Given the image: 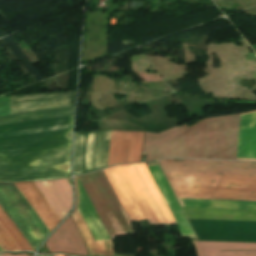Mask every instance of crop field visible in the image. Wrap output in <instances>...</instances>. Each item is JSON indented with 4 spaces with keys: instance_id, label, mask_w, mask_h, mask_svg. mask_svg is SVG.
I'll return each mask as SVG.
<instances>
[{
    "instance_id": "1",
    "label": "crop field",
    "mask_w": 256,
    "mask_h": 256,
    "mask_svg": "<svg viewBox=\"0 0 256 256\" xmlns=\"http://www.w3.org/2000/svg\"><path fill=\"white\" fill-rule=\"evenodd\" d=\"M73 116L0 126V182L70 176Z\"/></svg>"
},
{
    "instance_id": "2",
    "label": "crop field",
    "mask_w": 256,
    "mask_h": 256,
    "mask_svg": "<svg viewBox=\"0 0 256 256\" xmlns=\"http://www.w3.org/2000/svg\"><path fill=\"white\" fill-rule=\"evenodd\" d=\"M238 115L202 119L197 124L175 127L159 134L145 132L146 161L168 158L235 159Z\"/></svg>"
},
{
    "instance_id": "3",
    "label": "crop field",
    "mask_w": 256,
    "mask_h": 256,
    "mask_svg": "<svg viewBox=\"0 0 256 256\" xmlns=\"http://www.w3.org/2000/svg\"><path fill=\"white\" fill-rule=\"evenodd\" d=\"M130 222H174L145 164L105 170Z\"/></svg>"
},
{
    "instance_id": "4",
    "label": "crop field",
    "mask_w": 256,
    "mask_h": 256,
    "mask_svg": "<svg viewBox=\"0 0 256 256\" xmlns=\"http://www.w3.org/2000/svg\"><path fill=\"white\" fill-rule=\"evenodd\" d=\"M177 198L256 201V177L164 173Z\"/></svg>"
},
{
    "instance_id": "5",
    "label": "crop field",
    "mask_w": 256,
    "mask_h": 256,
    "mask_svg": "<svg viewBox=\"0 0 256 256\" xmlns=\"http://www.w3.org/2000/svg\"><path fill=\"white\" fill-rule=\"evenodd\" d=\"M79 179L111 240L118 235L134 232L103 171L86 174Z\"/></svg>"
},
{
    "instance_id": "6",
    "label": "crop field",
    "mask_w": 256,
    "mask_h": 256,
    "mask_svg": "<svg viewBox=\"0 0 256 256\" xmlns=\"http://www.w3.org/2000/svg\"><path fill=\"white\" fill-rule=\"evenodd\" d=\"M78 177L74 178L75 182V190H76V203L74 210L72 212V217L80 230L88 248V254L89 256H114L112 243L104 228L102 225L95 209L93 208L87 194L85 193L79 179L78 181V188H79V203H78V188H77V179ZM78 203V212L82 216L93 240L95 243L97 242H103V241H109V242H103V243H97L94 244L79 213L76 210Z\"/></svg>"
},
{
    "instance_id": "7",
    "label": "crop field",
    "mask_w": 256,
    "mask_h": 256,
    "mask_svg": "<svg viewBox=\"0 0 256 256\" xmlns=\"http://www.w3.org/2000/svg\"><path fill=\"white\" fill-rule=\"evenodd\" d=\"M110 131L76 133L74 176L106 167Z\"/></svg>"
},
{
    "instance_id": "8",
    "label": "crop field",
    "mask_w": 256,
    "mask_h": 256,
    "mask_svg": "<svg viewBox=\"0 0 256 256\" xmlns=\"http://www.w3.org/2000/svg\"><path fill=\"white\" fill-rule=\"evenodd\" d=\"M158 162L163 172L256 176V162L183 159H166Z\"/></svg>"
},
{
    "instance_id": "9",
    "label": "crop field",
    "mask_w": 256,
    "mask_h": 256,
    "mask_svg": "<svg viewBox=\"0 0 256 256\" xmlns=\"http://www.w3.org/2000/svg\"><path fill=\"white\" fill-rule=\"evenodd\" d=\"M75 92L9 97L11 115L74 106Z\"/></svg>"
},
{
    "instance_id": "10",
    "label": "crop field",
    "mask_w": 256,
    "mask_h": 256,
    "mask_svg": "<svg viewBox=\"0 0 256 256\" xmlns=\"http://www.w3.org/2000/svg\"><path fill=\"white\" fill-rule=\"evenodd\" d=\"M143 132L111 131L107 167L140 162Z\"/></svg>"
},
{
    "instance_id": "11",
    "label": "crop field",
    "mask_w": 256,
    "mask_h": 256,
    "mask_svg": "<svg viewBox=\"0 0 256 256\" xmlns=\"http://www.w3.org/2000/svg\"><path fill=\"white\" fill-rule=\"evenodd\" d=\"M45 244L51 253L60 251L87 256L85 244L70 217L50 236Z\"/></svg>"
},
{
    "instance_id": "12",
    "label": "crop field",
    "mask_w": 256,
    "mask_h": 256,
    "mask_svg": "<svg viewBox=\"0 0 256 256\" xmlns=\"http://www.w3.org/2000/svg\"><path fill=\"white\" fill-rule=\"evenodd\" d=\"M148 164L149 165H155ZM154 182L156 183L165 203L167 204L181 235H194L184 213L182 212L171 188L169 187L159 165L147 167ZM181 237H196V236H181Z\"/></svg>"
},
{
    "instance_id": "13",
    "label": "crop field",
    "mask_w": 256,
    "mask_h": 256,
    "mask_svg": "<svg viewBox=\"0 0 256 256\" xmlns=\"http://www.w3.org/2000/svg\"><path fill=\"white\" fill-rule=\"evenodd\" d=\"M61 220L72 207V188L65 179L34 182Z\"/></svg>"
},
{
    "instance_id": "14",
    "label": "crop field",
    "mask_w": 256,
    "mask_h": 256,
    "mask_svg": "<svg viewBox=\"0 0 256 256\" xmlns=\"http://www.w3.org/2000/svg\"><path fill=\"white\" fill-rule=\"evenodd\" d=\"M14 185L50 232L61 220L33 182H19Z\"/></svg>"
},
{
    "instance_id": "15",
    "label": "crop field",
    "mask_w": 256,
    "mask_h": 256,
    "mask_svg": "<svg viewBox=\"0 0 256 256\" xmlns=\"http://www.w3.org/2000/svg\"><path fill=\"white\" fill-rule=\"evenodd\" d=\"M197 256H256L254 250L225 251L231 249H256V243L191 241Z\"/></svg>"
},
{
    "instance_id": "16",
    "label": "crop field",
    "mask_w": 256,
    "mask_h": 256,
    "mask_svg": "<svg viewBox=\"0 0 256 256\" xmlns=\"http://www.w3.org/2000/svg\"><path fill=\"white\" fill-rule=\"evenodd\" d=\"M253 112L256 111L242 113L241 115ZM236 157L256 158V113L241 116Z\"/></svg>"
},
{
    "instance_id": "17",
    "label": "crop field",
    "mask_w": 256,
    "mask_h": 256,
    "mask_svg": "<svg viewBox=\"0 0 256 256\" xmlns=\"http://www.w3.org/2000/svg\"><path fill=\"white\" fill-rule=\"evenodd\" d=\"M183 210L187 218L256 221V210L200 209V208H183Z\"/></svg>"
},
{
    "instance_id": "18",
    "label": "crop field",
    "mask_w": 256,
    "mask_h": 256,
    "mask_svg": "<svg viewBox=\"0 0 256 256\" xmlns=\"http://www.w3.org/2000/svg\"><path fill=\"white\" fill-rule=\"evenodd\" d=\"M181 206L192 207H213V208H234V209H256V202H238V201H214V200H189L178 199Z\"/></svg>"
},
{
    "instance_id": "19",
    "label": "crop field",
    "mask_w": 256,
    "mask_h": 256,
    "mask_svg": "<svg viewBox=\"0 0 256 256\" xmlns=\"http://www.w3.org/2000/svg\"><path fill=\"white\" fill-rule=\"evenodd\" d=\"M73 111H74V108H66V109L50 110V111L24 114V115L0 117V125L30 121V120H36V119H43V118L69 116V115H73Z\"/></svg>"
},
{
    "instance_id": "20",
    "label": "crop field",
    "mask_w": 256,
    "mask_h": 256,
    "mask_svg": "<svg viewBox=\"0 0 256 256\" xmlns=\"http://www.w3.org/2000/svg\"><path fill=\"white\" fill-rule=\"evenodd\" d=\"M0 223L7 231V233L11 236L17 246L20 248L21 251H33L5 212L0 207Z\"/></svg>"
},
{
    "instance_id": "21",
    "label": "crop field",
    "mask_w": 256,
    "mask_h": 256,
    "mask_svg": "<svg viewBox=\"0 0 256 256\" xmlns=\"http://www.w3.org/2000/svg\"><path fill=\"white\" fill-rule=\"evenodd\" d=\"M0 247L3 251H20L10 236L6 233L3 227L0 225Z\"/></svg>"
},
{
    "instance_id": "22",
    "label": "crop field",
    "mask_w": 256,
    "mask_h": 256,
    "mask_svg": "<svg viewBox=\"0 0 256 256\" xmlns=\"http://www.w3.org/2000/svg\"><path fill=\"white\" fill-rule=\"evenodd\" d=\"M0 256H26V254H17V255H10L7 253L0 254Z\"/></svg>"
},
{
    "instance_id": "23",
    "label": "crop field",
    "mask_w": 256,
    "mask_h": 256,
    "mask_svg": "<svg viewBox=\"0 0 256 256\" xmlns=\"http://www.w3.org/2000/svg\"><path fill=\"white\" fill-rule=\"evenodd\" d=\"M54 256H62V255H54Z\"/></svg>"
},
{
    "instance_id": "24",
    "label": "crop field",
    "mask_w": 256,
    "mask_h": 256,
    "mask_svg": "<svg viewBox=\"0 0 256 256\" xmlns=\"http://www.w3.org/2000/svg\"><path fill=\"white\" fill-rule=\"evenodd\" d=\"M2 250H1V248H0V252H1Z\"/></svg>"
},
{
    "instance_id": "25",
    "label": "crop field",
    "mask_w": 256,
    "mask_h": 256,
    "mask_svg": "<svg viewBox=\"0 0 256 256\" xmlns=\"http://www.w3.org/2000/svg\"><path fill=\"white\" fill-rule=\"evenodd\" d=\"M63 256H68V255H63Z\"/></svg>"
}]
</instances>
